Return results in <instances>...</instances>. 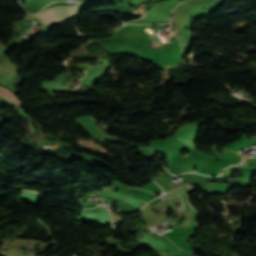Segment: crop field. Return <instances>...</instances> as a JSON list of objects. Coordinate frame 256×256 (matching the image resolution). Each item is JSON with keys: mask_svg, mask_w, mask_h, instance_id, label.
Listing matches in <instances>:
<instances>
[{"mask_svg": "<svg viewBox=\"0 0 256 256\" xmlns=\"http://www.w3.org/2000/svg\"><path fill=\"white\" fill-rule=\"evenodd\" d=\"M78 9V6H56L51 7L40 14L28 15L30 19H34L37 23L52 24L61 19L70 17Z\"/></svg>", "mask_w": 256, "mask_h": 256, "instance_id": "crop-field-1", "label": "crop field"}, {"mask_svg": "<svg viewBox=\"0 0 256 256\" xmlns=\"http://www.w3.org/2000/svg\"><path fill=\"white\" fill-rule=\"evenodd\" d=\"M197 133L198 125H189L187 127L182 128L175 138L194 148L192 140L194 139L195 136H197Z\"/></svg>", "mask_w": 256, "mask_h": 256, "instance_id": "crop-field-2", "label": "crop field"}, {"mask_svg": "<svg viewBox=\"0 0 256 256\" xmlns=\"http://www.w3.org/2000/svg\"><path fill=\"white\" fill-rule=\"evenodd\" d=\"M143 202V201H142ZM146 204V203H145Z\"/></svg>", "mask_w": 256, "mask_h": 256, "instance_id": "crop-field-3", "label": "crop field"}]
</instances>
